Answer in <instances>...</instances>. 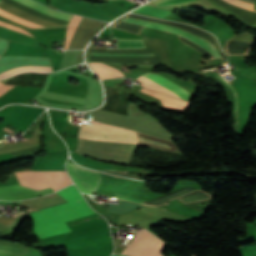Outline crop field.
I'll list each match as a JSON object with an SVG mask.
<instances>
[{
  "label": "crop field",
  "instance_id": "8a807250",
  "mask_svg": "<svg viewBox=\"0 0 256 256\" xmlns=\"http://www.w3.org/2000/svg\"><path fill=\"white\" fill-rule=\"evenodd\" d=\"M57 193L64 197L78 214L84 216L95 213L89 208L74 185ZM68 203L32 212L31 214L35 220V230L41 235L70 231L64 221L81 216Z\"/></svg>",
  "mask_w": 256,
  "mask_h": 256
},
{
  "label": "crop field",
  "instance_id": "ac0d7876",
  "mask_svg": "<svg viewBox=\"0 0 256 256\" xmlns=\"http://www.w3.org/2000/svg\"><path fill=\"white\" fill-rule=\"evenodd\" d=\"M88 123L93 124V121H89ZM138 144L179 151L172 141L154 138L141 133H138ZM136 147L137 146L105 143L78 138L76 153L89 155L101 160L129 164Z\"/></svg>",
  "mask_w": 256,
  "mask_h": 256
},
{
  "label": "crop field",
  "instance_id": "34b2d1b8",
  "mask_svg": "<svg viewBox=\"0 0 256 256\" xmlns=\"http://www.w3.org/2000/svg\"><path fill=\"white\" fill-rule=\"evenodd\" d=\"M16 173L23 186L34 190L51 187L56 191L72 183L67 173L62 171H22Z\"/></svg>",
  "mask_w": 256,
  "mask_h": 256
},
{
  "label": "crop field",
  "instance_id": "412701ff",
  "mask_svg": "<svg viewBox=\"0 0 256 256\" xmlns=\"http://www.w3.org/2000/svg\"><path fill=\"white\" fill-rule=\"evenodd\" d=\"M136 80L141 82V86L143 87L179 97L181 99L189 100L192 96L186 90L157 74L146 73Z\"/></svg>",
  "mask_w": 256,
  "mask_h": 256
},
{
  "label": "crop field",
  "instance_id": "f4fd0767",
  "mask_svg": "<svg viewBox=\"0 0 256 256\" xmlns=\"http://www.w3.org/2000/svg\"><path fill=\"white\" fill-rule=\"evenodd\" d=\"M66 167L81 192L92 194L95 191L100 183L98 172L84 169L70 162H67Z\"/></svg>",
  "mask_w": 256,
  "mask_h": 256
},
{
  "label": "crop field",
  "instance_id": "dd49c442",
  "mask_svg": "<svg viewBox=\"0 0 256 256\" xmlns=\"http://www.w3.org/2000/svg\"><path fill=\"white\" fill-rule=\"evenodd\" d=\"M120 21L126 22V23H131V24H136V25H141V26H146V27H151V28H156V29H160V30H165V31H168V32H171L174 34H178V35L198 44L199 46L206 49L207 51H209L211 53V55L213 56V58L221 57L219 52L216 50V48L213 45H211L207 41H205L201 38H198L188 32H185V31L173 28V27H169V26L150 23L145 20H138V19L124 17Z\"/></svg>",
  "mask_w": 256,
  "mask_h": 256
},
{
  "label": "crop field",
  "instance_id": "e52e79f7",
  "mask_svg": "<svg viewBox=\"0 0 256 256\" xmlns=\"http://www.w3.org/2000/svg\"><path fill=\"white\" fill-rule=\"evenodd\" d=\"M30 191H34V190H31V189H28L26 187L19 186V185L0 187V198L17 195V194H21V193H25V192H30ZM51 192H53V190L51 188H48V189L25 193V194L12 196V197H8V198H4V199H6V200L29 199V198L46 195Z\"/></svg>",
  "mask_w": 256,
  "mask_h": 256
},
{
  "label": "crop field",
  "instance_id": "d8731c3e",
  "mask_svg": "<svg viewBox=\"0 0 256 256\" xmlns=\"http://www.w3.org/2000/svg\"><path fill=\"white\" fill-rule=\"evenodd\" d=\"M146 48L142 39H118L117 49ZM116 50V49H106ZM91 56H155L153 53L92 54Z\"/></svg>",
  "mask_w": 256,
  "mask_h": 256
},
{
  "label": "crop field",
  "instance_id": "5a996713",
  "mask_svg": "<svg viewBox=\"0 0 256 256\" xmlns=\"http://www.w3.org/2000/svg\"><path fill=\"white\" fill-rule=\"evenodd\" d=\"M141 91L147 94H150L158 99H161L163 105L166 107H172V108L183 109V110H186L189 107V102H185L183 100L169 97L163 94L154 93V92L145 90L143 88L141 89Z\"/></svg>",
  "mask_w": 256,
  "mask_h": 256
},
{
  "label": "crop field",
  "instance_id": "3316defc",
  "mask_svg": "<svg viewBox=\"0 0 256 256\" xmlns=\"http://www.w3.org/2000/svg\"><path fill=\"white\" fill-rule=\"evenodd\" d=\"M89 65L97 73L100 79L123 76L120 71L102 63H89Z\"/></svg>",
  "mask_w": 256,
  "mask_h": 256
},
{
  "label": "crop field",
  "instance_id": "28ad6ade",
  "mask_svg": "<svg viewBox=\"0 0 256 256\" xmlns=\"http://www.w3.org/2000/svg\"><path fill=\"white\" fill-rule=\"evenodd\" d=\"M51 3L54 7H56L59 10H62V11H66V12H70V13H74V14H79V15H83V16H88V17H92V18H97V19H101V20H105V21H112V20L115 19L114 17H111V16L96 15V14H92V13L72 9V8H69V7L60 5V4H56L52 1H51Z\"/></svg>",
  "mask_w": 256,
  "mask_h": 256
},
{
  "label": "crop field",
  "instance_id": "d1516ede",
  "mask_svg": "<svg viewBox=\"0 0 256 256\" xmlns=\"http://www.w3.org/2000/svg\"><path fill=\"white\" fill-rule=\"evenodd\" d=\"M17 1H20V2H22V3H25V4H27V5L31 6V7H33V8H36V9H38V10H40V11H43V12H45V13H48V14H50V15H52V16H56V17H60V18L68 19V20H69L70 17H71V15H69V14H63V13L56 12V11L50 9V8H47V7L41 5V4L37 3V2L31 1V0H17ZM71 18H72V17H71ZM70 20H71V19H70Z\"/></svg>",
  "mask_w": 256,
  "mask_h": 256
},
{
  "label": "crop field",
  "instance_id": "22f410ed",
  "mask_svg": "<svg viewBox=\"0 0 256 256\" xmlns=\"http://www.w3.org/2000/svg\"><path fill=\"white\" fill-rule=\"evenodd\" d=\"M23 71H42V72H49L52 71L51 67H42V66H23L19 68L10 69L6 72L0 74V79L14 75L19 72Z\"/></svg>",
  "mask_w": 256,
  "mask_h": 256
},
{
  "label": "crop field",
  "instance_id": "cbeb9de0",
  "mask_svg": "<svg viewBox=\"0 0 256 256\" xmlns=\"http://www.w3.org/2000/svg\"><path fill=\"white\" fill-rule=\"evenodd\" d=\"M164 246L165 244L163 243V241L159 240L155 236L153 242L151 243L149 248L146 250V252L142 256H163L161 252ZM122 254H125V253H122ZM127 255L135 256L133 254H127Z\"/></svg>",
  "mask_w": 256,
  "mask_h": 256
},
{
  "label": "crop field",
  "instance_id": "5142ce71",
  "mask_svg": "<svg viewBox=\"0 0 256 256\" xmlns=\"http://www.w3.org/2000/svg\"><path fill=\"white\" fill-rule=\"evenodd\" d=\"M133 13L150 15V16H154V17H157V18H161V19L166 17L168 14H170V12H167L165 10L155 8V7H150V6H147V5L133 11Z\"/></svg>",
  "mask_w": 256,
  "mask_h": 256
},
{
  "label": "crop field",
  "instance_id": "d9b57169",
  "mask_svg": "<svg viewBox=\"0 0 256 256\" xmlns=\"http://www.w3.org/2000/svg\"><path fill=\"white\" fill-rule=\"evenodd\" d=\"M80 19H81V17L74 16L72 21H71V23H70V25L68 24L69 27L67 26L68 29H67V32H66V48L65 49L68 48V45H69V42H70L71 37L73 35V32H74L76 26L78 25Z\"/></svg>",
  "mask_w": 256,
  "mask_h": 256
},
{
  "label": "crop field",
  "instance_id": "733c2abd",
  "mask_svg": "<svg viewBox=\"0 0 256 256\" xmlns=\"http://www.w3.org/2000/svg\"><path fill=\"white\" fill-rule=\"evenodd\" d=\"M194 0H155L152 1L157 6H165V5H177V4H182L186 2H190Z\"/></svg>",
  "mask_w": 256,
  "mask_h": 256
},
{
  "label": "crop field",
  "instance_id": "4a817a6b",
  "mask_svg": "<svg viewBox=\"0 0 256 256\" xmlns=\"http://www.w3.org/2000/svg\"><path fill=\"white\" fill-rule=\"evenodd\" d=\"M38 151V146L36 147H32V148H28V149H24V150H20V151H16V152H12V156L15 155H26V154H31V153H36Z\"/></svg>",
  "mask_w": 256,
  "mask_h": 256
},
{
  "label": "crop field",
  "instance_id": "bc2a9ffb",
  "mask_svg": "<svg viewBox=\"0 0 256 256\" xmlns=\"http://www.w3.org/2000/svg\"><path fill=\"white\" fill-rule=\"evenodd\" d=\"M115 197H116V198H120V199L131 200V201H135V202H139V203H142V202L145 201V200H142V199L131 198V197H127V196H123V195H118V194H116Z\"/></svg>",
  "mask_w": 256,
  "mask_h": 256
},
{
  "label": "crop field",
  "instance_id": "214f88e0",
  "mask_svg": "<svg viewBox=\"0 0 256 256\" xmlns=\"http://www.w3.org/2000/svg\"><path fill=\"white\" fill-rule=\"evenodd\" d=\"M217 77H219L217 74H215ZM220 78V77H219ZM221 79V78H220ZM222 80V79H221ZM225 82V81H224ZM226 83V82H225ZM227 84V83H226ZM230 88H231V90L233 91V93H234V97H235V132H236V128H237V120H236V105H237V97H236V95H235V92H234V90H233V88L229 85V84H227Z\"/></svg>",
  "mask_w": 256,
  "mask_h": 256
},
{
  "label": "crop field",
  "instance_id": "92a150f3",
  "mask_svg": "<svg viewBox=\"0 0 256 256\" xmlns=\"http://www.w3.org/2000/svg\"><path fill=\"white\" fill-rule=\"evenodd\" d=\"M13 86H9V85H3L0 87V95H2L3 93H5L6 91H8L10 88H12Z\"/></svg>",
  "mask_w": 256,
  "mask_h": 256
},
{
  "label": "crop field",
  "instance_id": "dafd665d",
  "mask_svg": "<svg viewBox=\"0 0 256 256\" xmlns=\"http://www.w3.org/2000/svg\"><path fill=\"white\" fill-rule=\"evenodd\" d=\"M5 128H7V129H9V130H11V131L16 130V129L12 128V127L9 126V125H7ZM5 128H4V130H6V131H8V132H11V131H9V130H7V129H5ZM11 133H13V132H11Z\"/></svg>",
  "mask_w": 256,
  "mask_h": 256
},
{
  "label": "crop field",
  "instance_id": "00972430",
  "mask_svg": "<svg viewBox=\"0 0 256 256\" xmlns=\"http://www.w3.org/2000/svg\"><path fill=\"white\" fill-rule=\"evenodd\" d=\"M21 202V201H20ZM12 203H19V202H5V201H0V204H12Z\"/></svg>",
  "mask_w": 256,
  "mask_h": 256
},
{
  "label": "crop field",
  "instance_id": "a9b5d70f",
  "mask_svg": "<svg viewBox=\"0 0 256 256\" xmlns=\"http://www.w3.org/2000/svg\"><path fill=\"white\" fill-rule=\"evenodd\" d=\"M225 1H227V0H225ZM227 2H229V1H227ZM230 3H232V2H230ZM232 4H234V3H232ZM234 5H236V4H234ZM238 6V5H237ZM241 7V6H240ZM244 8V7H243ZM247 9V8H246ZM250 10V9H249ZM251 11H253V10H251ZM256 12V11H255Z\"/></svg>",
  "mask_w": 256,
  "mask_h": 256
},
{
  "label": "crop field",
  "instance_id": "4177f3b9",
  "mask_svg": "<svg viewBox=\"0 0 256 256\" xmlns=\"http://www.w3.org/2000/svg\"><path fill=\"white\" fill-rule=\"evenodd\" d=\"M253 256H256V251L252 252Z\"/></svg>",
  "mask_w": 256,
  "mask_h": 256
},
{
  "label": "crop field",
  "instance_id": "730fd06b",
  "mask_svg": "<svg viewBox=\"0 0 256 256\" xmlns=\"http://www.w3.org/2000/svg\"><path fill=\"white\" fill-rule=\"evenodd\" d=\"M112 256H118V255H112Z\"/></svg>",
  "mask_w": 256,
  "mask_h": 256
}]
</instances>
